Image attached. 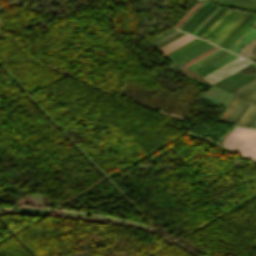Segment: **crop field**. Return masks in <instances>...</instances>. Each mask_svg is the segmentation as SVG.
Segmentation results:
<instances>
[{"label":"crop field","instance_id":"obj_4","mask_svg":"<svg viewBox=\"0 0 256 256\" xmlns=\"http://www.w3.org/2000/svg\"><path fill=\"white\" fill-rule=\"evenodd\" d=\"M211 4H209L208 2L194 15V16H192L181 28H180V30H182V31H184L207 7H209ZM213 5V4H212ZM211 5V6H212ZM210 6V7H211ZM209 7V8H210ZM217 6L216 5H213L209 10L208 9H206V10H208V11H204L191 25H192V27H191V25L185 30V32L187 31L188 33H190L204 18H206L215 8H216ZM226 8H221L196 34H195V36H197V37H199L211 24H212V22L225 10Z\"/></svg>","mask_w":256,"mask_h":256},{"label":"crop field","instance_id":"obj_6","mask_svg":"<svg viewBox=\"0 0 256 256\" xmlns=\"http://www.w3.org/2000/svg\"><path fill=\"white\" fill-rule=\"evenodd\" d=\"M249 84H252V85L256 86V79L254 81L250 82ZM249 84H247L243 88H246L248 90L256 92V87L252 86V85H249ZM243 88L240 89L238 92H236L234 95L242 98L245 101H249V102H252V103L256 104V93L248 91V90L243 89Z\"/></svg>","mask_w":256,"mask_h":256},{"label":"crop field","instance_id":"obj_11","mask_svg":"<svg viewBox=\"0 0 256 256\" xmlns=\"http://www.w3.org/2000/svg\"><path fill=\"white\" fill-rule=\"evenodd\" d=\"M201 41H202V40L196 38V39H194V40L188 42L187 44L181 46L180 48H178V49L172 51L171 53L165 55L164 57L170 59V58H172V57L178 55L179 53H181V52L187 50L188 48L194 46L195 44H197V43H199V42H201Z\"/></svg>","mask_w":256,"mask_h":256},{"label":"crop field","instance_id":"obj_3","mask_svg":"<svg viewBox=\"0 0 256 256\" xmlns=\"http://www.w3.org/2000/svg\"><path fill=\"white\" fill-rule=\"evenodd\" d=\"M232 10L231 9H229V8H227L215 21H214V23L201 35V37H205L218 23H220L230 12H231ZM234 11V10H233ZM232 11V12H233ZM231 12V13H232ZM238 11L237 10H235L232 14H231V16L216 30V31H214L219 25H217L206 37H205V39L207 38V40L209 41L221 28H223L228 22H229V20L237 13ZM242 13V11H240L220 32H218L214 37H213V39L210 41L211 43L225 30V29H227L236 19H237V17L240 15ZM247 13L246 12H243L239 17H238V19L227 29V30H225L213 43L214 44H218L226 35H227V33L246 15Z\"/></svg>","mask_w":256,"mask_h":256},{"label":"crop field","instance_id":"obj_19","mask_svg":"<svg viewBox=\"0 0 256 256\" xmlns=\"http://www.w3.org/2000/svg\"><path fill=\"white\" fill-rule=\"evenodd\" d=\"M227 54H229V52L223 54L222 56L216 58L215 60L209 62L208 64H206V65H204V66H202V67H200V68H198V69H196V70H194V71L196 72V71H198V70H200V69H202V68H205V67L209 66L210 64H212V63H214L215 61L221 59L222 57L226 56Z\"/></svg>","mask_w":256,"mask_h":256},{"label":"crop field","instance_id":"obj_22","mask_svg":"<svg viewBox=\"0 0 256 256\" xmlns=\"http://www.w3.org/2000/svg\"><path fill=\"white\" fill-rule=\"evenodd\" d=\"M249 14H250V13H249ZM249 14H248V15H249ZM248 15H247V16H248ZM247 16H246V17H247ZM246 17H245V18H246ZM245 18H244V19H245ZM244 19H243V20H244ZM243 20H242V21H243ZM242 21H241L237 26H235V27L233 28V30H235V29L242 23ZM233 30H232V31H233ZM232 31H231V32H232ZM231 32H230V33H231ZM230 33H229V34H230ZM229 34H228V35H229ZM228 35H227V36H228ZM227 36H226V37H227ZM226 37H225V38H226ZM225 38L221 41V43L225 40ZM227 38H228V37H227ZM227 38H226V39H227ZM221 43H220V44H221ZM220 44H219V45H220ZM219 45H218V46H219Z\"/></svg>","mask_w":256,"mask_h":256},{"label":"crop field","instance_id":"obj_20","mask_svg":"<svg viewBox=\"0 0 256 256\" xmlns=\"http://www.w3.org/2000/svg\"><path fill=\"white\" fill-rule=\"evenodd\" d=\"M256 115V112L254 113V115L252 116V118L248 121V123L246 124V126H248V124L251 122V120L254 118V116ZM256 122V116L255 118L252 120V122L249 124V126L253 127L254 123Z\"/></svg>","mask_w":256,"mask_h":256},{"label":"crop field","instance_id":"obj_27","mask_svg":"<svg viewBox=\"0 0 256 256\" xmlns=\"http://www.w3.org/2000/svg\"><path fill=\"white\" fill-rule=\"evenodd\" d=\"M254 127H256V124L254 125Z\"/></svg>","mask_w":256,"mask_h":256},{"label":"crop field","instance_id":"obj_26","mask_svg":"<svg viewBox=\"0 0 256 256\" xmlns=\"http://www.w3.org/2000/svg\"><path fill=\"white\" fill-rule=\"evenodd\" d=\"M207 1H208V0H207ZM211 1H214V2H215V0H211ZM211 1H210V2H211ZM214 2H213V3H214Z\"/></svg>","mask_w":256,"mask_h":256},{"label":"crop field","instance_id":"obj_21","mask_svg":"<svg viewBox=\"0 0 256 256\" xmlns=\"http://www.w3.org/2000/svg\"><path fill=\"white\" fill-rule=\"evenodd\" d=\"M253 28L250 27V29L229 49V51H231L233 49V47L244 37L246 36Z\"/></svg>","mask_w":256,"mask_h":256},{"label":"crop field","instance_id":"obj_12","mask_svg":"<svg viewBox=\"0 0 256 256\" xmlns=\"http://www.w3.org/2000/svg\"><path fill=\"white\" fill-rule=\"evenodd\" d=\"M225 1H228V0H225ZM237 1H246V2L256 4V0H237ZM230 2H233V1H230ZM236 3H238V2H236ZM219 4L238 7V8H244V9H250V10H255L256 11V7H251V6H256V5L245 6V5H239V4L228 3V2H223V1H220ZM241 4H243V3H241ZM246 5H250V4H246Z\"/></svg>","mask_w":256,"mask_h":256},{"label":"crop field","instance_id":"obj_9","mask_svg":"<svg viewBox=\"0 0 256 256\" xmlns=\"http://www.w3.org/2000/svg\"><path fill=\"white\" fill-rule=\"evenodd\" d=\"M203 42H204V41H203ZM203 42H201V43H203ZM201 43H199V44H201ZM199 44H197V45H199ZM197 45H196V46H197ZM210 45H211V44L205 42V43H203V44H201V45H199V46H197V47L194 46L195 48H193V47H192L193 49L190 48L191 50H189V51H187V52H185V53H183V54H181V55H179V56L173 58L172 60L178 64V63H180L182 60H184V59H186V58L192 56L193 54H195V53L201 51L202 49H204V48H206V47H208V46H210Z\"/></svg>","mask_w":256,"mask_h":256},{"label":"crop field","instance_id":"obj_15","mask_svg":"<svg viewBox=\"0 0 256 256\" xmlns=\"http://www.w3.org/2000/svg\"><path fill=\"white\" fill-rule=\"evenodd\" d=\"M178 32H179V31H177V30L175 29V30H173V31H171V32H169V33H167L166 35H164V36L158 38L157 40H155V41H153V42H151V43H149V44H151V45L154 46V45L160 43L161 41L165 40L166 38H168V37H170V36H172V35H174V34H176V33H178Z\"/></svg>","mask_w":256,"mask_h":256},{"label":"crop field","instance_id":"obj_1","mask_svg":"<svg viewBox=\"0 0 256 256\" xmlns=\"http://www.w3.org/2000/svg\"><path fill=\"white\" fill-rule=\"evenodd\" d=\"M249 63H250V62H248V61H246V60H244V59H242V58L239 57V58L233 60L232 62L226 64L225 66H223V67H221V68H219V69H217V70L211 72L210 74H208V75H206V76H204V77H202V78L205 79V80H206L207 82H209L210 84H212V83H214V82H216V81H218V80L224 78L225 76H227V75H229V74L235 72L236 70H238V69L244 67L245 65H247V64H249ZM231 76H234V77H237V78H240V79H243V78L247 77V75H244V74H241V73H238V72L232 74ZM231 76H229V77L223 79L222 81L216 83V84L213 85V86H215V87H217V88H219V89H221V90H223V91H226L229 87L235 85V83L240 80V79H237V78H234V77H231ZM253 76H255V75H253V74L249 75L248 78H245V79H243V80L237 82V84H236L235 86L229 88L227 91H228V92L231 91V90L234 89L236 86H238L240 83H242V82H244V81L250 79V78L253 77ZM255 78H256V76L253 77L252 79H250V80L244 82L243 84L239 85L237 88H235L234 90H232L230 93L233 94V93L236 92L238 89H240L241 87L245 86L248 82L252 81V80L255 79Z\"/></svg>","mask_w":256,"mask_h":256},{"label":"crop field","instance_id":"obj_7","mask_svg":"<svg viewBox=\"0 0 256 256\" xmlns=\"http://www.w3.org/2000/svg\"><path fill=\"white\" fill-rule=\"evenodd\" d=\"M195 37L191 36V35H184L182 37H180L179 39L173 41L172 43L166 45L165 47L161 48L160 50L163 51L164 53L161 54L162 56L171 52L172 50L178 48L179 46L187 43L188 41L194 39Z\"/></svg>","mask_w":256,"mask_h":256},{"label":"crop field","instance_id":"obj_10","mask_svg":"<svg viewBox=\"0 0 256 256\" xmlns=\"http://www.w3.org/2000/svg\"><path fill=\"white\" fill-rule=\"evenodd\" d=\"M237 57H238V56L231 54V55H229V56H227V57L221 59L220 61H218V62H216V63H214V64H212V65H214L215 67L219 68L220 66H222V65H224V64H226V63H228V62H230L231 60H233V59H235V58H237ZM212 65L209 66V67H207V68H205V69H203V70H201V71H199V72H197V74H199V75L202 77V76H204V75L210 73L211 71L217 69V68H215V67L212 66Z\"/></svg>","mask_w":256,"mask_h":256},{"label":"crop field","instance_id":"obj_25","mask_svg":"<svg viewBox=\"0 0 256 256\" xmlns=\"http://www.w3.org/2000/svg\"><path fill=\"white\" fill-rule=\"evenodd\" d=\"M205 3H206V2H205ZM203 4H204V3H203ZM203 4H202V5H203ZM199 7H200V6H199ZM199 7H198V8H199ZM198 8H197V9H198ZM197 9H196V10H197ZM196 10H195V11H196ZM195 11H194V12H195ZM194 12H193V13H194ZM193 13H192V14H193ZM192 14H191V15H192ZM191 15H190V16H191ZM190 16H189V17H190ZM181 25H182V24H181ZM181 25H180V26H181ZM180 26H179V27H180ZM179 27H178V28H179ZM178 28H177V29H178Z\"/></svg>","mask_w":256,"mask_h":256},{"label":"crop field","instance_id":"obj_8","mask_svg":"<svg viewBox=\"0 0 256 256\" xmlns=\"http://www.w3.org/2000/svg\"><path fill=\"white\" fill-rule=\"evenodd\" d=\"M240 103H241V100L233 96V98L227 104V107H228L227 110L222 115L219 121L228 122V120L230 119V117L232 116V114L237 109Z\"/></svg>","mask_w":256,"mask_h":256},{"label":"crop field","instance_id":"obj_17","mask_svg":"<svg viewBox=\"0 0 256 256\" xmlns=\"http://www.w3.org/2000/svg\"><path fill=\"white\" fill-rule=\"evenodd\" d=\"M184 34H185V33L180 32V33H178V34L172 36L171 38H169V39L163 41L162 43H160V44H158V45H156V46H154V47H156V48L158 49L159 47H161V46H163V45H165V44L171 42L172 40H174V39H176V38H178V37H180V36H182V35H184Z\"/></svg>","mask_w":256,"mask_h":256},{"label":"crop field","instance_id":"obj_23","mask_svg":"<svg viewBox=\"0 0 256 256\" xmlns=\"http://www.w3.org/2000/svg\"><path fill=\"white\" fill-rule=\"evenodd\" d=\"M213 46H214V45H212V46H210V47L206 48L205 50H203V51L199 52L198 54H196V55L192 56L191 58H193V57H195V56L199 55L200 53H202V52L206 51L207 49H209V48H211V47H213ZM191 58H189V59H187V60L183 61V63H184V62H186V61H188V60H190Z\"/></svg>","mask_w":256,"mask_h":256},{"label":"crop field","instance_id":"obj_14","mask_svg":"<svg viewBox=\"0 0 256 256\" xmlns=\"http://www.w3.org/2000/svg\"><path fill=\"white\" fill-rule=\"evenodd\" d=\"M252 104H250V106L248 107V109L246 110V112L244 113V115L242 116V118L240 119V121L238 122V124H241V122L243 121V119L245 118V116L248 114V112L250 111V109L252 108ZM256 108V105L253 106V108L251 109V111L249 112V114L246 116V118L244 119V121L242 122L243 125H245V123L247 122V120L249 119L250 115L252 114V112L254 111V109Z\"/></svg>","mask_w":256,"mask_h":256},{"label":"crop field","instance_id":"obj_13","mask_svg":"<svg viewBox=\"0 0 256 256\" xmlns=\"http://www.w3.org/2000/svg\"><path fill=\"white\" fill-rule=\"evenodd\" d=\"M205 1L198 2L195 4L175 25L174 27H178L199 5H201Z\"/></svg>","mask_w":256,"mask_h":256},{"label":"crop field","instance_id":"obj_5","mask_svg":"<svg viewBox=\"0 0 256 256\" xmlns=\"http://www.w3.org/2000/svg\"><path fill=\"white\" fill-rule=\"evenodd\" d=\"M253 14L251 13L245 20L244 22L235 30L233 31L228 38L220 45L222 47L252 16ZM256 17V14L253 15V17L222 47L225 48L254 18ZM256 20V18L225 48L229 49L232 44L242 35V33Z\"/></svg>","mask_w":256,"mask_h":256},{"label":"crop field","instance_id":"obj_24","mask_svg":"<svg viewBox=\"0 0 256 256\" xmlns=\"http://www.w3.org/2000/svg\"><path fill=\"white\" fill-rule=\"evenodd\" d=\"M224 51H225V50H224ZM222 52H223V51H222ZM225 52H226V51H225ZM225 52H223V53H225ZM220 53H221V52H220ZM223 53H221V54H223ZM218 54H219V53H218ZM218 54H217V55H218ZM221 54H219L218 56H220ZM215 56H216V55H215ZM218 56H216V57H218ZM213 57H214V56H213ZM216 57H214V58H216ZM211 58H212V57H211ZM211 58H210V59H211ZM214 58H213V59H214ZM213 59H211V60H213ZM208 60H209V59H208ZM211 60H209V61H211ZM206 61H207V60H206ZM206 61H205V62H206ZM209 61H207L206 63H208ZM203 63H204V62H203ZM206 63H204V64H206ZM201 64H202V63H201ZM204 64H202V65H204ZM199 65H200V64H199ZM202 65H201V66H202Z\"/></svg>","mask_w":256,"mask_h":256},{"label":"crop field","instance_id":"obj_16","mask_svg":"<svg viewBox=\"0 0 256 256\" xmlns=\"http://www.w3.org/2000/svg\"><path fill=\"white\" fill-rule=\"evenodd\" d=\"M217 48H218V47L215 46V47L209 49L208 51H206V52L200 54L199 56L193 58L192 60H190V61H188V62H186V63H184V64H186V65L188 66V65L192 64L193 62L197 61L198 59H200V58L204 57L205 55L209 54L210 52L214 51V50L217 49Z\"/></svg>","mask_w":256,"mask_h":256},{"label":"crop field","instance_id":"obj_18","mask_svg":"<svg viewBox=\"0 0 256 256\" xmlns=\"http://www.w3.org/2000/svg\"><path fill=\"white\" fill-rule=\"evenodd\" d=\"M244 104H245V102L242 101V103L240 104V106L238 107V109L236 110V112L233 114V116H232L231 119L229 120L230 123H232V121L235 119V117L237 116V114L239 113V111L242 109V107L244 106ZM246 104H247V103H246ZM246 104H245V106H246ZM245 106H244V107H245ZM244 107H243V108H244ZM242 110H243V109H242ZM242 110H241V111H242ZM239 114H240V113H239ZM239 114H238V115H239ZM237 117H238V116H237ZM237 117H236V118H237ZM235 120H236V119H235ZM235 120H234V121H235ZM233 123H234V122H233Z\"/></svg>","mask_w":256,"mask_h":256},{"label":"crop field","instance_id":"obj_2","mask_svg":"<svg viewBox=\"0 0 256 256\" xmlns=\"http://www.w3.org/2000/svg\"><path fill=\"white\" fill-rule=\"evenodd\" d=\"M219 143L256 158V129L232 126Z\"/></svg>","mask_w":256,"mask_h":256}]
</instances>
